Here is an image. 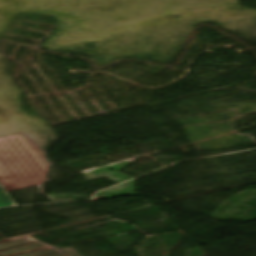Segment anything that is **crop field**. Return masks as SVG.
<instances>
[{"label":"crop field","mask_w":256,"mask_h":256,"mask_svg":"<svg viewBox=\"0 0 256 256\" xmlns=\"http://www.w3.org/2000/svg\"><path fill=\"white\" fill-rule=\"evenodd\" d=\"M9 205H12L11 202L8 200V198L3 193V191L0 189V207L9 206Z\"/></svg>","instance_id":"2"},{"label":"crop field","mask_w":256,"mask_h":256,"mask_svg":"<svg viewBox=\"0 0 256 256\" xmlns=\"http://www.w3.org/2000/svg\"><path fill=\"white\" fill-rule=\"evenodd\" d=\"M49 165L22 134L0 138V183L7 191L41 184Z\"/></svg>","instance_id":"1"}]
</instances>
